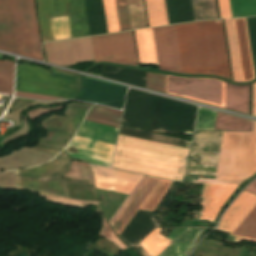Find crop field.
<instances>
[{
    "mask_svg": "<svg viewBox=\"0 0 256 256\" xmlns=\"http://www.w3.org/2000/svg\"><path fill=\"white\" fill-rule=\"evenodd\" d=\"M233 17L256 15V0H230Z\"/></svg>",
    "mask_w": 256,
    "mask_h": 256,
    "instance_id": "0bd39190",
    "label": "crop field"
},
{
    "mask_svg": "<svg viewBox=\"0 0 256 256\" xmlns=\"http://www.w3.org/2000/svg\"><path fill=\"white\" fill-rule=\"evenodd\" d=\"M150 27L168 24L164 0H145Z\"/></svg>",
    "mask_w": 256,
    "mask_h": 256,
    "instance_id": "bd1437ed",
    "label": "crop field"
},
{
    "mask_svg": "<svg viewBox=\"0 0 256 256\" xmlns=\"http://www.w3.org/2000/svg\"><path fill=\"white\" fill-rule=\"evenodd\" d=\"M54 40L71 38L67 17L51 18Z\"/></svg>",
    "mask_w": 256,
    "mask_h": 256,
    "instance_id": "b80d0937",
    "label": "crop field"
},
{
    "mask_svg": "<svg viewBox=\"0 0 256 256\" xmlns=\"http://www.w3.org/2000/svg\"><path fill=\"white\" fill-rule=\"evenodd\" d=\"M28 149L40 151V152L50 154V155H53V156H55L59 152L58 150L49 149V148H45V147H33V148H28Z\"/></svg>",
    "mask_w": 256,
    "mask_h": 256,
    "instance_id": "9d1cf04e",
    "label": "crop field"
},
{
    "mask_svg": "<svg viewBox=\"0 0 256 256\" xmlns=\"http://www.w3.org/2000/svg\"><path fill=\"white\" fill-rule=\"evenodd\" d=\"M255 132H223L216 179L248 178Z\"/></svg>",
    "mask_w": 256,
    "mask_h": 256,
    "instance_id": "412701ff",
    "label": "crop field"
},
{
    "mask_svg": "<svg viewBox=\"0 0 256 256\" xmlns=\"http://www.w3.org/2000/svg\"><path fill=\"white\" fill-rule=\"evenodd\" d=\"M203 229L188 228L171 245H169L159 256H187L195 246ZM180 238L181 242L177 241Z\"/></svg>",
    "mask_w": 256,
    "mask_h": 256,
    "instance_id": "00972430",
    "label": "crop field"
},
{
    "mask_svg": "<svg viewBox=\"0 0 256 256\" xmlns=\"http://www.w3.org/2000/svg\"><path fill=\"white\" fill-rule=\"evenodd\" d=\"M215 111L200 108L196 130H213Z\"/></svg>",
    "mask_w": 256,
    "mask_h": 256,
    "instance_id": "03da06ac",
    "label": "crop field"
},
{
    "mask_svg": "<svg viewBox=\"0 0 256 256\" xmlns=\"http://www.w3.org/2000/svg\"><path fill=\"white\" fill-rule=\"evenodd\" d=\"M108 33L119 31L114 0H103Z\"/></svg>",
    "mask_w": 256,
    "mask_h": 256,
    "instance_id": "c035e120",
    "label": "crop field"
},
{
    "mask_svg": "<svg viewBox=\"0 0 256 256\" xmlns=\"http://www.w3.org/2000/svg\"><path fill=\"white\" fill-rule=\"evenodd\" d=\"M65 177L88 179L89 184L93 183L91 171L88 164L72 161L71 170L65 175Z\"/></svg>",
    "mask_w": 256,
    "mask_h": 256,
    "instance_id": "c21b1889",
    "label": "crop field"
},
{
    "mask_svg": "<svg viewBox=\"0 0 256 256\" xmlns=\"http://www.w3.org/2000/svg\"><path fill=\"white\" fill-rule=\"evenodd\" d=\"M114 147L113 145L75 136L64 151L74 159L110 166Z\"/></svg>",
    "mask_w": 256,
    "mask_h": 256,
    "instance_id": "5142ce71",
    "label": "crop field"
},
{
    "mask_svg": "<svg viewBox=\"0 0 256 256\" xmlns=\"http://www.w3.org/2000/svg\"><path fill=\"white\" fill-rule=\"evenodd\" d=\"M120 31L130 29L125 0H115Z\"/></svg>",
    "mask_w": 256,
    "mask_h": 256,
    "instance_id": "5d738f31",
    "label": "crop field"
},
{
    "mask_svg": "<svg viewBox=\"0 0 256 256\" xmlns=\"http://www.w3.org/2000/svg\"><path fill=\"white\" fill-rule=\"evenodd\" d=\"M255 202L256 196L243 191L224 214L217 230L229 233Z\"/></svg>",
    "mask_w": 256,
    "mask_h": 256,
    "instance_id": "214f88e0",
    "label": "crop field"
},
{
    "mask_svg": "<svg viewBox=\"0 0 256 256\" xmlns=\"http://www.w3.org/2000/svg\"><path fill=\"white\" fill-rule=\"evenodd\" d=\"M158 68L182 73L174 25L152 29Z\"/></svg>",
    "mask_w": 256,
    "mask_h": 256,
    "instance_id": "d1516ede",
    "label": "crop field"
},
{
    "mask_svg": "<svg viewBox=\"0 0 256 256\" xmlns=\"http://www.w3.org/2000/svg\"><path fill=\"white\" fill-rule=\"evenodd\" d=\"M47 62L73 65L93 60L89 37L44 44Z\"/></svg>",
    "mask_w": 256,
    "mask_h": 256,
    "instance_id": "28ad6ade",
    "label": "crop field"
},
{
    "mask_svg": "<svg viewBox=\"0 0 256 256\" xmlns=\"http://www.w3.org/2000/svg\"><path fill=\"white\" fill-rule=\"evenodd\" d=\"M175 28L184 74L220 75L231 80L222 23L196 22Z\"/></svg>",
    "mask_w": 256,
    "mask_h": 256,
    "instance_id": "8a807250",
    "label": "crop field"
},
{
    "mask_svg": "<svg viewBox=\"0 0 256 256\" xmlns=\"http://www.w3.org/2000/svg\"><path fill=\"white\" fill-rule=\"evenodd\" d=\"M222 132H196L190 156H200V165L189 160L187 173L215 175Z\"/></svg>",
    "mask_w": 256,
    "mask_h": 256,
    "instance_id": "3316defc",
    "label": "crop field"
},
{
    "mask_svg": "<svg viewBox=\"0 0 256 256\" xmlns=\"http://www.w3.org/2000/svg\"><path fill=\"white\" fill-rule=\"evenodd\" d=\"M146 88L165 93V75L152 74L147 72Z\"/></svg>",
    "mask_w": 256,
    "mask_h": 256,
    "instance_id": "d23c7cc5",
    "label": "crop field"
},
{
    "mask_svg": "<svg viewBox=\"0 0 256 256\" xmlns=\"http://www.w3.org/2000/svg\"><path fill=\"white\" fill-rule=\"evenodd\" d=\"M0 49L43 61L34 0H0Z\"/></svg>",
    "mask_w": 256,
    "mask_h": 256,
    "instance_id": "34b2d1b8",
    "label": "crop field"
},
{
    "mask_svg": "<svg viewBox=\"0 0 256 256\" xmlns=\"http://www.w3.org/2000/svg\"><path fill=\"white\" fill-rule=\"evenodd\" d=\"M41 196L47 197V200H49L51 202H55V203H59V204H63V205H69V206L82 207L83 203H97V202L79 201V200H73V199L52 197V196H46V195H42V194H41Z\"/></svg>",
    "mask_w": 256,
    "mask_h": 256,
    "instance_id": "73cf0c24",
    "label": "crop field"
},
{
    "mask_svg": "<svg viewBox=\"0 0 256 256\" xmlns=\"http://www.w3.org/2000/svg\"><path fill=\"white\" fill-rule=\"evenodd\" d=\"M70 161L62 151L58 158L48 164L14 172L17 190H36L69 198L66 184L60 176L68 171Z\"/></svg>",
    "mask_w": 256,
    "mask_h": 256,
    "instance_id": "f4fd0767",
    "label": "crop field"
},
{
    "mask_svg": "<svg viewBox=\"0 0 256 256\" xmlns=\"http://www.w3.org/2000/svg\"><path fill=\"white\" fill-rule=\"evenodd\" d=\"M126 86L85 77L84 91L78 99L121 109L123 107Z\"/></svg>",
    "mask_w": 256,
    "mask_h": 256,
    "instance_id": "22f410ed",
    "label": "crop field"
},
{
    "mask_svg": "<svg viewBox=\"0 0 256 256\" xmlns=\"http://www.w3.org/2000/svg\"><path fill=\"white\" fill-rule=\"evenodd\" d=\"M14 62L0 61V92L12 94Z\"/></svg>",
    "mask_w": 256,
    "mask_h": 256,
    "instance_id": "028f5c9d",
    "label": "crop field"
},
{
    "mask_svg": "<svg viewBox=\"0 0 256 256\" xmlns=\"http://www.w3.org/2000/svg\"><path fill=\"white\" fill-rule=\"evenodd\" d=\"M188 150L119 135L112 167L180 180Z\"/></svg>",
    "mask_w": 256,
    "mask_h": 256,
    "instance_id": "ac0d7876",
    "label": "crop field"
},
{
    "mask_svg": "<svg viewBox=\"0 0 256 256\" xmlns=\"http://www.w3.org/2000/svg\"><path fill=\"white\" fill-rule=\"evenodd\" d=\"M235 242L247 240L256 242V203L229 233Z\"/></svg>",
    "mask_w": 256,
    "mask_h": 256,
    "instance_id": "4177f3b9",
    "label": "crop field"
},
{
    "mask_svg": "<svg viewBox=\"0 0 256 256\" xmlns=\"http://www.w3.org/2000/svg\"><path fill=\"white\" fill-rule=\"evenodd\" d=\"M243 82L254 79L245 18L233 20Z\"/></svg>",
    "mask_w": 256,
    "mask_h": 256,
    "instance_id": "bc2a9ffb",
    "label": "crop field"
},
{
    "mask_svg": "<svg viewBox=\"0 0 256 256\" xmlns=\"http://www.w3.org/2000/svg\"><path fill=\"white\" fill-rule=\"evenodd\" d=\"M252 122L217 113L214 130L251 131Z\"/></svg>",
    "mask_w": 256,
    "mask_h": 256,
    "instance_id": "d3111659",
    "label": "crop field"
},
{
    "mask_svg": "<svg viewBox=\"0 0 256 256\" xmlns=\"http://www.w3.org/2000/svg\"><path fill=\"white\" fill-rule=\"evenodd\" d=\"M131 29L147 27L143 0H127Z\"/></svg>",
    "mask_w": 256,
    "mask_h": 256,
    "instance_id": "120bbe31",
    "label": "crop field"
},
{
    "mask_svg": "<svg viewBox=\"0 0 256 256\" xmlns=\"http://www.w3.org/2000/svg\"><path fill=\"white\" fill-rule=\"evenodd\" d=\"M90 166L94 173L95 185L98 188L129 194L142 177L118 170Z\"/></svg>",
    "mask_w": 256,
    "mask_h": 256,
    "instance_id": "d9b57169",
    "label": "crop field"
},
{
    "mask_svg": "<svg viewBox=\"0 0 256 256\" xmlns=\"http://www.w3.org/2000/svg\"><path fill=\"white\" fill-rule=\"evenodd\" d=\"M43 42L51 41L52 32L46 0H37Z\"/></svg>",
    "mask_w": 256,
    "mask_h": 256,
    "instance_id": "e1f06a70",
    "label": "crop field"
},
{
    "mask_svg": "<svg viewBox=\"0 0 256 256\" xmlns=\"http://www.w3.org/2000/svg\"><path fill=\"white\" fill-rule=\"evenodd\" d=\"M197 107L155 96L147 131L192 133Z\"/></svg>",
    "mask_w": 256,
    "mask_h": 256,
    "instance_id": "e52e79f7",
    "label": "crop field"
},
{
    "mask_svg": "<svg viewBox=\"0 0 256 256\" xmlns=\"http://www.w3.org/2000/svg\"><path fill=\"white\" fill-rule=\"evenodd\" d=\"M255 173H256V138H255V144H254V150H253V156H252L249 177L254 175Z\"/></svg>",
    "mask_w": 256,
    "mask_h": 256,
    "instance_id": "1d79db26",
    "label": "crop field"
},
{
    "mask_svg": "<svg viewBox=\"0 0 256 256\" xmlns=\"http://www.w3.org/2000/svg\"><path fill=\"white\" fill-rule=\"evenodd\" d=\"M237 186L204 184L200 219L214 222L220 208Z\"/></svg>",
    "mask_w": 256,
    "mask_h": 256,
    "instance_id": "733c2abd",
    "label": "crop field"
},
{
    "mask_svg": "<svg viewBox=\"0 0 256 256\" xmlns=\"http://www.w3.org/2000/svg\"><path fill=\"white\" fill-rule=\"evenodd\" d=\"M245 190L256 195V180L253 183H251Z\"/></svg>",
    "mask_w": 256,
    "mask_h": 256,
    "instance_id": "0765c3eb",
    "label": "crop field"
},
{
    "mask_svg": "<svg viewBox=\"0 0 256 256\" xmlns=\"http://www.w3.org/2000/svg\"><path fill=\"white\" fill-rule=\"evenodd\" d=\"M3 111H4V108H0V116L3 113Z\"/></svg>",
    "mask_w": 256,
    "mask_h": 256,
    "instance_id": "db79e9e6",
    "label": "crop field"
},
{
    "mask_svg": "<svg viewBox=\"0 0 256 256\" xmlns=\"http://www.w3.org/2000/svg\"><path fill=\"white\" fill-rule=\"evenodd\" d=\"M121 114L122 111L97 105L86 120L118 128Z\"/></svg>",
    "mask_w": 256,
    "mask_h": 256,
    "instance_id": "ae1a2a85",
    "label": "crop field"
},
{
    "mask_svg": "<svg viewBox=\"0 0 256 256\" xmlns=\"http://www.w3.org/2000/svg\"><path fill=\"white\" fill-rule=\"evenodd\" d=\"M249 34L254 75L256 78V17L246 18Z\"/></svg>",
    "mask_w": 256,
    "mask_h": 256,
    "instance_id": "b54c1fbb",
    "label": "crop field"
},
{
    "mask_svg": "<svg viewBox=\"0 0 256 256\" xmlns=\"http://www.w3.org/2000/svg\"><path fill=\"white\" fill-rule=\"evenodd\" d=\"M147 177V176H146ZM146 179L147 178H145V177H143L141 180H140V182L137 184V186L134 188V190L132 191V192H134L133 194H132V196H131V194L126 198V200L123 202V204L127 201V199H128V201L123 205V207H122V205L120 206V210H119V212H118V210H117V214H114V216L111 218V220L109 221L110 222V224H111V226L113 225V223L116 221V219L119 217V215L122 213V211L125 209V207L128 205V203L131 201V199L134 197V195L137 193V191L140 189V187L143 185V183L146 181ZM148 180V179H147ZM145 184V183H144Z\"/></svg>",
    "mask_w": 256,
    "mask_h": 256,
    "instance_id": "89e229c0",
    "label": "crop field"
},
{
    "mask_svg": "<svg viewBox=\"0 0 256 256\" xmlns=\"http://www.w3.org/2000/svg\"><path fill=\"white\" fill-rule=\"evenodd\" d=\"M213 183V184H230L239 185L242 181H230V180H214V179H199L196 183Z\"/></svg>",
    "mask_w": 256,
    "mask_h": 256,
    "instance_id": "dbb93151",
    "label": "crop field"
},
{
    "mask_svg": "<svg viewBox=\"0 0 256 256\" xmlns=\"http://www.w3.org/2000/svg\"><path fill=\"white\" fill-rule=\"evenodd\" d=\"M154 215L138 210L119 235L129 245L135 247L159 224L152 219Z\"/></svg>",
    "mask_w": 256,
    "mask_h": 256,
    "instance_id": "4a817a6b",
    "label": "crop field"
},
{
    "mask_svg": "<svg viewBox=\"0 0 256 256\" xmlns=\"http://www.w3.org/2000/svg\"><path fill=\"white\" fill-rule=\"evenodd\" d=\"M140 63L156 64L151 29L135 31Z\"/></svg>",
    "mask_w": 256,
    "mask_h": 256,
    "instance_id": "eef30255",
    "label": "crop field"
},
{
    "mask_svg": "<svg viewBox=\"0 0 256 256\" xmlns=\"http://www.w3.org/2000/svg\"><path fill=\"white\" fill-rule=\"evenodd\" d=\"M229 54L235 82H242L232 20H224Z\"/></svg>",
    "mask_w": 256,
    "mask_h": 256,
    "instance_id": "750c4746",
    "label": "crop field"
},
{
    "mask_svg": "<svg viewBox=\"0 0 256 256\" xmlns=\"http://www.w3.org/2000/svg\"><path fill=\"white\" fill-rule=\"evenodd\" d=\"M72 38L90 35L85 0H66Z\"/></svg>",
    "mask_w": 256,
    "mask_h": 256,
    "instance_id": "92a150f3",
    "label": "crop field"
},
{
    "mask_svg": "<svg viewBox=\"0 0 256 256\" xmlns=\"http://www.w3.org/2000/svg\"><path fill=\"white\" fill-rule=\"evenodd\" d=\"M117 131V128L85 120L77 135L115 145Z\"/></svg>",
    "mask_w": 256,
    "mask_h": 256,
    "instance_id": "a9b5d70f",
    "label": "crop field"
},
{
    "mask_svg": "<svg viewBox=\"0 0 256 256\" xmlns=\"http://www.w3.org/2000/svg\"><path fill=\"white\" fill-rule=\"evenodd\" d=\"M221 18L232 17L229 0H218Z\"/></svg>",
    "mask_w": 256,
    "mask_h": 256,
    "instance_id": "1f2cbd36",
    "label": "crop field"
},
{
    "mask_svg": "<svg viewBox=\"0 0 256 256\" xmlns=\"http://www.w3.org/2000/svg\"><path fill=\"white\" fill-rule=\"evenodd\" d=\"M89 107L88 105L69 104L64 113L68 117L62 127H45L48 135L46 138H41L38 145L62 149L72 138Z\"/></svg>",
    "mask_w": 256,
    "mask_h": 256,
    "instance_id": "cbeb9de0",
    "label": "crop field"
},
{
    "mask_svg": "<svg viewBox=\"0 0 256 256\" xmlns=\"http://www.w3.org/2000/svg\"><path fill=\"white\" fill-rule=\"evenodd\" d=\"M171 181L161 180L151 195L147 198L144 204L141 206L140 210L152 213L157 207L161 199L166 194Z\"/></svg>",
    "mask_w": 256,
    "mask_h": 256,
    "instance_id": "5866460e",
    "label": "crop field"
},
{
    "mask_svg": "<svg viewBox=\"0 0 256 256\" xmlns=\"http://www.w3.org/2000/svg\"><path fill=\"white\" fill-rule=\"evenodd\" d=\"M195 21L218 18L215 0H192Z\"/></svg>",
    "mask_w": 256,
    "mask_h": 256,
    "instance_id": "d32e631a",
    "label": "crop field"
},
{
    "mask_svg": "<svg viewBox=\"0 0 256 256\" xmlns=\"http://www.w3.org/2000/svg\"><path fill=\"white\" fill-rule=\"evenodd\" d=\"M248 86H233L226 83L225 108L248 114Z\"/></svg>",
    "mask_w": 256,
    "mask_h": 256,
    "instance_id": "730fd06b",
    "label": "crop field"
},
{
    "mask_svg": "<svg viewBox=\"0 0 256 256\" xmlns=\"http://www.w3.org/2000/svg\"><path fill=\"white\" fill-rule=\"evenodd\" d=\"M160 230L161 229L156 228L140 243L150 256H157L173 242L172 240L161 236L159 234Z\"/></svg>",
    "mask_w": 256,
    "mask_h": 256,
    "instance_id": "1d83c4d3",
    "label": "crop field"
},
{
    "mask_svg": "<svg viewBox=\"0 0 256 256\" xmlns=\"http://www.w3.org/2000/svg\"><path fill=\"white\" fill-rule=\"evenodd\" d=\"M15 95L36 98V99H43V100L58 99V97L44 96V95H38V94L18 92V91H16Z\"/></svg>",
    "mask_w": 256,
    "mask_h": 256,
    "instance_id": "0fb4a251",
    "label": "crop field"
},
{
    "mask_svg": "<svg viewBox=\"0 0 256 256\" xmlns=\"http://www.w3.org/2000/svg\"><path fill=\"white\" fill-rule=\"evenodd\" d=\"M166 93L224 108L225 83L217 79L166 75Z\"/></svg>",
    "mask_w": 256,
    "mask_h": 256,
    "instance_id": "d8731c3e",
    "label": "crop field"
},
{
    "mask_svg": "<svg viewBox=\"0 0 256 256\" xmlns=\"http://www.w3.org/2000/svg\"><path fill=\"white\" fill-rule=\"evenodd\" d=\"M50 17L67 16L65 0H47Z\"/></svg>",
    "mask_w": 256,
    "mask_h": 256,
    "instance_id": "425ffa30",
    "label": "crop field"
},
{
    "mask_svg": "<svg viewBox=\"0 0 256 256\" xmlns=\"http://www.w3.org/2000/svg\"><path fill=\"white\" fill-rule=\"evenodd\" d=\"M252 115L256 116V83H253Z\"/></svg>",
    "mask_w": 256,
    "mask_h": 256,
    "instance_id": "447ae74e",
    "label": "crop field"
},
{
    "mask_svg": "<svg viewBox=\"0 0 256 256\" xmlns=\"http://www.w3.org/2000/svg\"><path fill=\"white\" fill-rule=\"evenodd\" d=\"M79 78L51 75L50 71L17 64L15 90L69 98L78 92Z\"/></svg>",
    "mask_w": 256,
    "mask_h": 256,
    "instance_id": "dd49c442",
    "label": "crop field"
},
{
    "mask_svg": "<svg viewBox=\"0 0 256 256\" xmlns=\"http://www.w3.org/2000/svg\"><path fill=\"white\" fill-rule=\"evenodd\" d=\"M94 61L138 66L133 33L122 32L90 37Z\"/></svg>",
    "mask_w": 256,
    "mask_h": 256,
    "instance_id": "5a996713",
    "label": "crop field"
},
{
    "mask_svg": "<svg viewBox=\"0 0 256 256\" xmlns=\"http://www.w3.org/2000/svg\"><path fill=\"white\" fill-rule=\"evenodd\" d=\"M0 97H1V95H0Z\"/></svg>",
    "mask_w": 256,
    "mask_h": 256,
    "instance_id": "7b73153f",
    "label": "crop field"
},
{
    "mask_svg": "<svg viewBox=\"0 0 256 256\" xmlns=\"http://www.w3.org/2000/svg\"><path fill=\"white\" fill-rule=\"evenodd\" d=\"M160 179L150 177L146 184L142 187L139 193L135 196L132 202L128 205V207L124 210L121 216L117 219V221L112 226L113 230L120 234L126 224L130 221L139 207L143 204L149 194L153 191L156 185L159 183Z\"/></svg>",
    "mask_w": 256,
    "mask_h": 256,
    "instance_id": "dafd665d",
    "label": "crop field"
},
{
    "mask_svg": "<svg viewBox=\"0 0 256 256\" xmlns=\"http://www.w3.org/2000/svg\"><path fill=\"white\" fill-rule=\"evenodd\" d=\"M99 235L107 238L108 240L112 241L114 244H116L119 248H121L123 251L128 247L120 242V240L117 238V236L113 233V231L110 229V227L107 225L106 221L103 220V226L99 232Z\"/></svg>",
    "mask_w": 256,
    "mask_h": 256,
    "instance_id": "25e5ab78",
    "label": "crop field"
}]
</instances>
